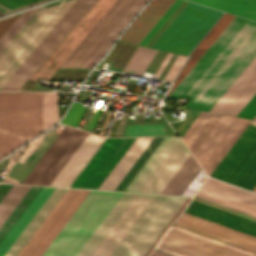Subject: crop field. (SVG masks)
Masks as SVG:
<instances>
[{
    "label": "crop field",
    "instance_id": "1",
    "mask_svg": "<svg viewBox=\"0 0 256 256\" xmlns=\"http://www.w3.org/2000/svg\"><path fill=\"white\" fill-rule=\"evenodd\" d=\"M255 55L256 23L235 16L167 98L209 111Z\"/></svg>",
    "mask_w": 256,
    "mask_h": 256
},
{
    "label": "crop field",
    "instance_id": "2",
    "mask_svg": "<svg viewBox=\"0 0 256 256\" xmlns=\"http://www.w3.org/2000/svg\"><path fill=\"white\" fill-rule=\"evenodd\" d=\"M116 1L96 0L29 79L51 77ZM133 1L118 0L62 66H78ZM147 1L135 0L79 66L95 65Z\"/></svg>",
    "mask_w": 256,
    "mask_h": 256
},
{
    "label": "crop field",
    "instance_id": "3",
    "mask_svg": "<svg viewBox=\"0 0 256 256\" xmlns=\"http://www.w3.org/2000/svg\"><path fill=\"white\" fill-rule=\"evenodd\" d=\"M59 120L58 93L43 92V130ZM42 132V92H0V158Z\"/></svg>",
    "mask_w": 256,
    "mask_h": 256
},
{
    "label": "crop field",
    "instance_id": "4",
    "mask_svg": "<svg viewBox=\"0 0 256 256\" xmlns=\"http://www.w3.org/2000/svg\"><path fill=\"white\" fill-rule=\"evenodd\" d=\"M164 238L216 256H256V237L185 212Z\"/></svg>",
    "mask_w": 256,
    "mask_h": 256
},
{
    "label": "crop field",
    "instance_id": "5",
    "mask_svg": "<svg viewBox=\"0 0 256 256\" xmlns=\"http://www.w3.org/2000/svg\"><path fill=\"white\" fill-rule=\"evenodd\" d=\"M249 122L201 111L181 138L209 175Z\"/></svg>",
    "mask_w": 256,
    "mask_h": 256
},
{
    "label": "crop field",
    "instance_id": "6",
    "mask_svg": "<svg viewBox=\"0 0 256 256\" xmlns=\"http://www.w3.org/2000/svg\"><path fill=\"white\" fill-rule=\"evenodd\" d=\"M122 194L91 191L42 256H76Z\"/></svg>",
    "mask_w": 256,
    "mask_h": 256
},
{
    "label": "crop field",
    "instance_id": "7",
    "mask_svg": "<svg viewBox=\"0 0 256 256\" xmlns=\"http://www.w3.org/2000/svg\"><path fill=\"white\" fill-rule=\"evenodd\" d=\"M65 0H58V1H54L45 5H42L39 7V9L59 3V2H63ZM76 0H68L65 1L61 4L58 5H53L41 10H38L34 13V15L27 21V23L20 29V31L14 36V38L8 43V45L2 50V52L0 53V72L1 70L8 64V62L14 57V55L20 50V48L26 43V41L32 36V34L38 29V27L45 21V19L51 14V12L57 7L58 5V9L52 12V16L46 19V23L43 24L39 27V31L37 33V31L33 34V39L32 37L27 41V46L26 44L21 48V53L20 51L15 55V57L9 62V64L2 70V72L0 73V75L4 73L0 76V88L1 86L8 80V78L14 73V71L21 65V63L27 58V56L33 51V49L39 44V42L46 36V34L52 29V27L58 22V20L64 15V13L70 8V6L75 2Z\"/></svg>",
    "mask_w": 256,
    "mask_h": 256
},
{
    "label": "crop field",
    "instance_id": "8",
    "mask_svg": "<svg viewBox=\"0 0 256 256\" xmlns=\"http://www.w3.org/2000/svg\"><path fill=\"white\" fill-rule=\"evenodd\" d=\"M221 14L189 2L152 47L188 55Z\"/></svg>",
    "mask_w": 256,
    "mask_h": 256
},
{
    "label": "crop field",
    "instance_id": "9",
    "mask_svg": "<svg viewBox=\"0 0 256 256\" xmlns=\"http://www.w3.org/2000/svg\"><path fill=\"white\" fill-rule=\"evenodd\" d=\"M189 154L178 137H165L125 191L160 193Z\"/></svg>",
    "mask_w": 256,
    "mask_h": 256
},
{
    "label": "crop field",
    "instance_id": "10",
    "mask_svg": "<svg viewBox=\"0 0 256 256\" xmlns=\"http://www.w3.org/2000/svg\"><path fill=\"white\" fill-rule=\"evenodd\" d=\"M250 125L256 126L252 120ZM248 125L210 176L256 192V127Z\"/></svg>",
    "mask_w": 256,
    "mask_h": 256
},
{
    "label": "crop field",
    "instance_id": "11",
    "mask_svg": "<svg viewBox=\"0 0 256 256\" xmlns=\"http://www.w3.org/2000/svg\"><path fill=\"white\" fill-rule=\"evenodd\" d=\"M94 0H77L0 90H18Z\"/></svg>",
    "mask_w": 256,
    "mask_h": 256
},
{
    "label": "crop field",
    "instance_id": "12",
    "mask_svg": "<svg viewBox=\"0 0 256 256\" xmlns=\"http://www.w3.org/2000/svg\"><path fill=\"white\" fill-rule=\"evenodd\" d=\"M89 192L68 189L17 256H41Z\"/></svg>",
    "mask_w": 256,
    "mask_h": 256
},
{
    "label": "crop field",
    "instance_id": "13",
    "mask_svg": "<svg viewBox=\"0 0 256 256\" xmlns=\"http://www.w3.org/2000/svg\"><path fill=\"white\" fill-rule=\"evenodd\" d=\"M87 134L65 126L22 183L49 185Z\"/></svg>",
    "mask_w": 256,
    "mask_h": 256
},
{
    "label": "crop field",
    "instance_id": "14",
    "mask_svg": "<svg viewBox=\"0 0 256 256\" xmlns=\"http://www.w3.org/2000/svg\"><path fill=\"white\" fill-rule=\"evenodd\" d=\"M136 138H107L70 187L99 188Z\"/></svg>",
    "mask_w": 256,
    "mask_h": 256
},
{
    "label": "crop field",
    "instance_id": "15",
    "mask_svg": "<svg viewBox=\"0 0 256 256\" xmlns=\"http://www.w3.org/2000/svg\"><path fill=\"white\" fill-rule=\"evenodd\" d=\"M165 136L160 137H138L137 140L134 142V144L131 146V148L127 151V153L124 155V157L121 159V161L117 164V166L114 168V170L111 172V174L107 177V179L104 181V183L101 185L99 189H109V190H119L124 191L125 188L128 186V184L131 182V180L134 178V176L138 173V171L141 169V167L144 165V163L147 161V159L150 157V155L154 152V150L157 148V146L160 144V142L163 140Z\"/></svg>",
    "mask_w": 256,
    "mask_h": 256
},
{
    "label": "crop field",
    "instance_id": "16",
    "mask_svg": "<svg viewBox=\"0 0 256 256\" xmlns=\"http://www.w3.org/2000/svg\"><path fill=\"white\" fill-rule=\"evenodd\" d=\"M256 93V56L210 110L237 116Z\"/></svg>",
    "mask_w": 256,
    "mask_h": 256
},
{
    "label": "crop field",
    "instance_id": "17",
    "mask_svg": "<svg viewBox=\"0 0 256 256\" xmlns=\"http://www.w3.org/2000/svg\"><path fill=\"white\" fill-rule=\"evenodd\" d=\"M196 196L256 217V194L207 178Z\"/></svg>",
    "mask_w": 256,
    "mask_h": 256
},
{
    "label": "crop field",
    "instance_id": "18",
    "mask_svg": "<svg viewBox=\"0 0 256 256\" xmlns=\"http://www.w3.org/2000/svg\"><path fill=\"white\" fill-rule=\"evenodd\" d=\"M185 198L168 196L123 256H142Z\"/></svg>",
    "mask_w": 256,
    "mask_h": 256
},
{
    "label": "crop field",
    "instance_id": "19",
    "mask_svg": "<svg viewBox=\"0 0 256 256\" xmlns=\"http://www.w3.org/2000/svg\"><path fill=\"white\" fill-rule=\"evenodd\" d=\"M153 196L138 194L92 256H109Z\"/></svg>",
    "mask_w": 256,
    "mask_h": 256
},
{
    "label": "crop field",
    "instance_id": "20",
    "mask_svg": "<svg viewBox=\"0 0 256 256\" xmlns=\"http://www.w3.org/2000/svg\"><path fill=\"white\" fill-rule=\"evenodd\" d=\"M175 0H151L119 40L139 44Z\"/></svg>",
    "mask_w": 256,
    "mask_h": 256
},
{
    "label": "crop field",
    "instance_id": "21",
    "mask_svg": "<svg viewBox=\"0 0 256 256\" xmlns=\"http://www.w3.org/2000/svg\"><path fill=\"white\" fill-rule=\"evenodd\" d=\"M103 139L89 133L50 185L68 187Z\"/></svg>",
    "mask_w": 256,
    "mask_h": 256
},
{
    "label": "crop field",
    "instance_id": "22",
    "mask_svg": "<svg viewBox=\"0 0 256 256\" xmlns=\"http://www.w3.org/2000/svg\"><path fill=\"white\" fill-rule=\"evenodd\" d=\"M137 194L124 193L77 256H91Z\"/></svg>",
    "mask_w": 256,
    "mask_h": 256
},
{
    "label": "crop field",
    "instance_id": "23",
    "mask_svg": "<svg viewBox=\"0 0 256 256\" xmlns=\"http://www.w3.org/2000/svg\"><path fill=\"white\" fill-rule=\"evenodd\" d=\"M167 196L155 195L136 222L132 225L110 256H122L129 248L147 222L151 219Z\"/></svg>",
    "mask_w": 256,
    "mask_h": 256
},
{
    "label": "crop field",
    "instance_id": "24",
    "mask_svg": "<svg viewBox=\"0 0 256 256\" xmlns=\"http://www.w3.org/2000/svg\"><path fill=\"white\" fill-rule=\"evenodd\" d=\"M54 188L43 187L36 198L32 201L26 211L22 214L16 224L12 227L3 241L0 243V256H3L12 243L16 240L34 214L38 211Z\"/></svg>",
    "mask_w": 256,
    "mask_h": 256
},
{
    "label": "crop field",
    "instance_id": "25",
    "mask_svg": "<svg viewBox=\"0 0 256 256\" xmlns=\"http://www.w3.org/2000/svg\"><path fill=\"white\" fill-rule=\"evenodd\" d=\"M233 17L234 15L226 13L222 15V17L217 21V23L212 27V29L207 33V35L202 39V41L197 45V47L192 51L189 60L183 67L182 71L178 75L177 79L173 83L165 98L178 84V82L184 77V75L189 71V69L195 64V62L200 58V56L205 52V50L211 45V43L216 39V37L222 32V30L227 26V24L232 20Z\"/></svg>",
    "mask_w": 256,
    "mask_h": 256
},
{
    "label": "crop field",
    "instance_id": "26",
    "mask_svg": "<svg viewBox=\"0 0 256 256\" xmlns=\"http://www.w3.org/2000/svg\"><path fill=\"white\" fill-rule=\"evenodd\" d=\"M64 190L65 189L61 188L54 189V191L51 193V195L48 197V199L45 201V203L42 205V207L32 218V220L29 222V224L26 226V228L23 230V232L20 234V236L13 243V245L4 256H15L17 254L23 244L27 241V239L30 237V235L33 233V231L36 229V227L39 225L45 215L49 212V210L64 192Z\"/></svg>",
    "mask_w": 256,
    "mask_h": 256
},
{
    "label": "crop field",
    "instance_id": "27",
    "mask_svg": "<svg viewBox=\"0 0 256 256\" xmlns=\"http://www.w3.org/2000/svg\"><path fill=\"white\" fill-rule=\"evenodd\" d=\"M200 169L190 154L161 193L181 195Z\"/></svg>",
    "mask_w": 256,
    "mask_h": 256
},
{
    "label": "crop field",
    "instance_id": "28",
    "mask_svg": "<svg viewBox=\"0 0 256 256\" xmlns=\"http://www.w3.org/2000/svg\"><path fill=\"white\" fill-rule=\"evenodd\" d=\"M256 20V0H191Z\"/></svg>",
    "mask_w": 256,
    "mask_h": 256
},
{
    "label": "crop field",
    "instance_id": "29",
    "mask_svg": "<svg viewBox=\"0 0 256 256\" xmlns=\"http://www.w3.org/2000/svg\"><path fill=\"white\" fill-rule=\"evenodd\" d=\"M42 187L31 186L28 192L24 195L12 213L8 216L5 222L0 227V242L11 229V227L15 224L21 214L25 211L31 201L35 198L38 192Z\"/></svg>",
    "mask_w": 256,
    "mask_h": 256
},
{
    "label": "crop field",
    "instance_id": "30",
    "mask_svg": "<svg viewBox=\"0 0 256 256\" xmlns=\"http://www.w3.org/2000/svg\"><path fill=\"white\" fill-rule=\"evenodd\" d=\"M156 52V49L138 46L123 71L132 70L136 74L143 75Z\"/></svg>",
    "mask_w": 256,
    "mask_h": 256
},
{
    "label": "crop field",
    "instance_id": "31",
    "mask_svg": "<svg viewBox=\"0 0 256 256\" xmlns=\"http://www.w3.org/2000/svg\"><path fill=\"white\" fill-rule=\"evenodd\" d=\"M155 248L175 256H213L164 238L158 242Z\"/></svg>",
    "mask_w": 256,
    "mask_h": 256
},
{
    "label": "crop field",
    "instance_id": "32",
    "mask_svg": "<svg viewBox=\"0 0 256 256\" xmlns=\"http://www.w3.org/2000/svg\"><path fill=\"white\" fill-rule=\"evenodd\" d=\"M37 8L38 7L24 11L16 22L10 27V29L3 35V37L0 39V51L13 38V36L19 31V29L25 24V22L37 10Z\"/></svg>",
    "mask_w": 256,
    "mask_h": 256
},
{
    "label": "crop field",
    "instance_id": "33",
    "mask_svg": "<svg viewBox=\"0 0 256 256\" xmlns=\"http://www.w3.org/2000/svg\"><path fill=\"white\" fill-rule=\"evenodd\" d=\"M166 135L162 125L128 126L124 136Z\"/></svg>",
    "mask_w": 256,
    "mask_h": 256
},
{
    "label": "crop field",
    "instance_id": "34",
    "mask_svg": "<svg viewBox=\"0 0 256 256\" xmlns=\"http://www.w3.org/2000/svg\"><path fill=\"white\" fill-rule=\"evenodd\" d=\"M47 0H0V16Z\"/></svg>",
    "mask_w": 256,
    "mask_h": 256
},
{
    "label": "crop field",
    "instance_id": "35",
    "mask_svg": "<svg viewBox=\"0 0 256 256\" xmlns=\"http://www.w3.org/2000/svg\"><path fill=\"white\" fill-rule=\"evenodd\" d=\"M29 187L30 186H21L20 185V187L17 189V191L13 194V196L10 198V200L7 202V204L1 210L0 226L4 222V220L7 218V216L10 214V212L14 209V207L17 205V203L20 201V199L23 197V195L26 193V191L29 189Z\"/></svg>",
    "mask_w": 256,
    "mask_h": 256
},
{
    "label": "crop field",
    "instance_id": "36",
    "mask_svg": "<svg viewBox=\"0 0 256 256\" xmlns=\"http://www.w3.org/2000/svg\"><path fill=\"white\" fill-rule=\"evenodd\" d=\"M85 110L86 107L82 106V104L73 102L72 106L70 107L66 116L62 119L61 122L77 127Z\"/></svg>",
    "mask_w": 256,
    "mask_h": 256
},
{
    "label": "crop field",
    "instance_id": "37",
    "mask_svg": "<svg viewBox=\"0 0 256 256\" xmlns=\"http://www.w3.org/2000/svg\"><path fill=\"white\" fill-rule=\"evenodd\" d=\"M182 0H176L171 7L166 11V13L161 17V19L156 23V25L151 29V31L146 35V37L141 41L140 45L145 46L146 43L151 39V37L156 33V31L161 27V25L166 21V19L171 15V13L176 9V7L181 3Z\"/></svg>",
    "mask_w": 256,
    "mask_h": 256
},
{
    "label": "crop field",
    "instance_id": "38",
    "mask_svg": "<svg viewBox=\"0 0 256 256\" xmlns=\"http://www.w3.org/2000/svg\"><path fill=\"white\" fill-rule=\"evenodd\" d=\"M188 57L178 55L176 58L175 62L167 72L166 76L164 77L165 80H170L174 81L175 77L179 73L180 69L184 65L185 61L187 60Z\"/></svg>",
    "mask_w": 256,
    "mask_h": 256
},
{
    "label": "crop field",
    "instance_id": "39",
    "mask_svg": "<svg viewBox=\"0 0 256 256\" xmlns=\"http://www.w3.org/2000/svg\"><path fill=\"white\" fill-rule=\"evenodd\" d=\"M191 198H186V200L183 202V204L180 206V208L177 210V212L174 214V216L171 218V220L168 222V224L164 227V229L161 231V233L158 235V237L155 239V241L152 243V245L149 247V249L145 252V254L143 256H148L151 252V250L153 249V247L155 246V244L157 243V241L159 240V238L161 237V235L163 234V232L165 231V229L167 228V226L174 221L183 211V209L185 208V206L188 204V202L190 201Z\"/></svg>",
    "mask_w": 256,
    "mask_h": 256
},
{
    "label": "crop field",
    "instance_id": "40",
    "mask_svg": "<svg viewBox=\"0 0 256 256\" xmlns=\"http://www.w3.org/2000/svg\"><path fill=\"white\" fill-rule=\"evenodd\" d=\"M255 115H256V94L250 100V102L245 106V108L240 112L238 116L253 119Z\"/></svg>",
    "mask_w": 256,
    "mask_h": 256
},
{
    "label": "crop field",
    "instance_id": "41",
    "mask_svg": "<svg viewBox=\"0 0 256 256\" xmlns=\"http://www.w3.org/2000/svg\"><path fill=\"white\" fill-rule=\"evenodd\" d=\"M21 13L22 12L0 19V38L9 29V27L15 22V20L21 15Z\"/></svg>",
    "mask_w": 256,
    "mask_h": 256
},
{
    "label": "crop field",
    "instance_id": "42",
    "mask_svg": "<svg viewBox=\"0 0 256 256\" xmlns=\"http://www.w3.org/2000/svg\"><path fill=\"white\" fill-rule=\"evenodd\" d=\"M19 185H13L11 190L8 192V194L5 196V198L0 203V210L3 208V206L6 204V202L9 200V198L12 196V194L15 192V190L18 188ZM20 187V186H19ZM17 191V190H16Z\"/></svg>",
    "mask_w": 256,
    "mask_h": 256
},
{
    "label": "crop field",
    "instance_id": "43",
    "mask_svg": "<svg viewBox=\"0 0 256 256\" xmlns=\"http://www.w3.org/2000/svg\"><path fill=\"white\" fill-rule=\"evenodd\" d=\"M171 56H172V54L168 53V55L166 56L165 60L163 61V63L161 64V66L157 70L156 74L154 75L155 78H158V76L160 75L161 71L163 70V68L165 67V65L167 64V62L169 61Z\"/></svg>",
    "mask_w": 256,
    "mask_h": 256
},
{
    "label": "crop field",
    "instance_id": "44",
    "mask_svg": "<svg viewBox=\"0 0 256 256\" xmlns=\"http://www.w3.org/2000/svg\"><path fill=\"white\" fill-rule=\"evenodd\" d=\"M101 112H102L101 110H99V109L97 110V112H96V114H95V116H94V118H93V120H92V122H91V124L88 128V131H91V132L93 131Z\"/></svg>",
    "mask_w": 256,
    "mask_h": 256
},
{
    "label": "crop field",
    "instance_id": "45",
    "mask_svg": "<svg viewBox=\"0 0 256 256\" xmlns=\"http://www.w3.org/2000/svg\"><path fill=\"white\" fill-rule=\"evenodd\" d=\"M12 185L0 184V201L11 188Z\"/></svg>",
    "mask_w": 256,
    "mask_h": 256
},
{
    "label": "crop field",
    "instance_id": "46",
    "mask_svg": "<svg viewBox=\"0 0 256 256\" xmlns=\"http://www.w3.org/2000/svg\"><path fill=\"white\" fill-rule=\"evenodd\" d=\"M152 254H155V255H158V256H169V255H166L164 253H161V252H158V251H153Z\"/></svg>",
    "mask_w": 256,
    "mask_h": 256
},
{
    "label": "crop field",
    "instance_id": "47",
    "mask_svg": "<svg viewBox=\"0 0 256 256\" xmlns=\"http://www.w3.org/2000/svg\"><path fill=\"white\" fill-rule=\"evenodd\" d=\"M150 256H155V255L150 254Z\"/></svg>",
    "mask_w": 256,
    "mask_h": 256
},
{
    "label": "crop field",
    "instance_id": "48",
    "mask_svg": "<svg viewBox=\"0 0 256 256\" xmlns=\"http://www.w3.org/2000/svg\"><path fill=\"white\" fill-rule=\"evenodd\" d=\"M254 120H256V116H255Z\"/></svg>",
    "mask_w": 256,
    "mask_h": 256
}]
</instances>
